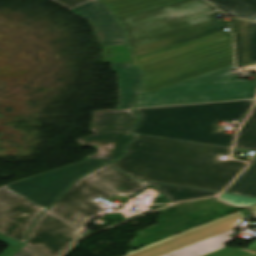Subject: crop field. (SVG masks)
Wrapping results in <instances>:
<instances>
[{
    "label": "crop field",
    "mask_w": 256,
    "mask_h": 256,
    "mask_svg": "<svg viewBox=\"0 0 256 256\" xmlns=\"http://www.w3.org/2000/svg\"><path fill=\"white\" fill-rule=\"evenodd\" d=\"M230 149L135 135L127 154L111 165L139 180L222 191L246 165L216 160Z\"/></svg>",
    "instance_id": "crop-field-1"
},
{
    "label": "crop field",
    "mask_w": 256,
    "mask_h": 256,
    "mask_svg": "<svg viewBox=\"0 0 256 256\" xmlns=\"http://www.w3.org/2000/svg\"><path fill=\"white\" fill-rule=\"evenodd\" d=\"M204 0H185L118 18L132 50L133 66L231 37L213 16L221 11ZM170 17H175L171 19Z\"/></svg>",
    "instance_id": "crop-field-2"
},
{
    "label": "crop field",
    "mask_w": 256,
    "mask_h": 256,
    "mask_svg": "<svg viewBox=\"0 0 256 256\" xmlns=\"http://www.w3.org/2000/svg\"><path fill=\"white\" fill-rule=\"evenodd\" d=\"M252 100L138 109L134 134L232 146L234 136L215 133L218 120H244Z\"/></svg>",
    "instance_id": "crop-field-3"
},
{
    "label": "crop field",
    "mask_w": 256,
    "mask_h": 256,
    "mask_svg": "<svg viewBox=\"0 0 256 256\" xmlns=\"http://www.w3.org/2000/svg\"><path fill=\"white\" fill-rule=\"evenodd\" d=\"M105 164L93 158L0 187V233L22 243L36 216L81 175Z\"/></svg>",
    "instance_id": "crop-field-4"
},
{
    "label": "crop field",
    "mask_w": 256,
    "mask_h": 256,
    "mask_svg": "<svg viewBox=\"0 0 256 256\" xmlns=\"http://www.w3.org/2000/svg\"><path fill=\"white\" fill-rule=\"evenodd\" d=\"M146 187L106 165L86 175L47 211L72 224L83 227L103 207L90 201L94 196L108 199L118 193L128 197Z\"/></svg>",
    "instance_id": "crop-field-5"
},
{
    "label": "crop field",
    "mask_w": 256,
    "mask_h": 256,
    "mask_svg": "<svg viewBox=\"0 0 256 256\" xmlns=\"http://www.w3.org/2000/svg\"><path fill=\"white\" fill-rule=\"evenodd\" d=\"M234 66L138 98L136 107L254 98L256 80H238Z\"/></svg>",
    "instance_id": "crop-field-6"
},
{
    "label": "crop field",
    "mask_w": 256,
    "mask_h": 256,
    "mask_svg": "<svg viewBox=\"0 0 256 256\" xmlns=\"http://www.w3.org/2000/svg\"><path fill=\"white\" fill-rule=\"evenodd\" d=\"M233 63L232 39L227 38L141 67L143 92L220 69Z\"/></svg>",
    "instance_id": "crop-field-7"
},
{
    "label": "crop field",
    "mask_w": 256,
    "mask_h": 256,
    "mask_svg": "<svg viewBox=\"0 0 256 256\" xmlns=\"http://www.w3.org/2000/svg\"><path fill=\"white\" fill-rule=\"evenodd\" d=\"M77 231L45 212L35 222L26 244L46 256H60L72 246L65 241L77 237Z\"/></svg>",
    "instance_id": "crop-field-8"
},
{
    "label": "crop field",
    "mask_w": 256,
    "mask_h": 256,
    "mask_svg": "<svg viewBox=\"0 0 256 256\" xmlns=\"http://www.w3.org/2000/svg\"><path fill=\"white\" fill-rule=\"evenodd\" d=\"M71 11L89 21L101 46L126 44L118 23L98 0Z\"/></svg>",
    "instance_id": "crop-field-9"
},
{
    "label": "crop field",
    "mask_w": 256,
    "mask_h": 256,
    "mask_svg": "<svg viewBox=\"0 0 256 256\" xmlns=\"http://www.w3.org/2000/svg\"><path fill=\"white\" fill-rule=\"evenodd\" d=\"M132 140L131 134L122 132L101 133L77 139L81 146L96 145L98 153L88 156L89 159L97 157L108 163L124 153V146Z\"/></svg>",
    "instance_id": "crop-field-10"
},
{
    "label": "crop field",
    "mask_w": 256,
    "mask_h": 256,
    "mask_svg": "<svg viewBox=\"0 0 256 256\" xmlns=\"http://www.w3.org/2000/svg\"><path fill=\"white\" fill-rule=\"evenodd\" d=\"M119 75L120 102L118 110L129 109L140 95L143 75L140 70L130 66V62L111 64Z\"/></svg>",
    "instance_id": "crop-field-11"
},
{
    "label": "crop field",
    "mask_w": 256,
    "mask_h": 256,
    "mask_svg": "<svg viewBox=\"0 0 256 256\" xmlns=\"http://www.w3.org/2000/svg\"><path fill=\"white\" fill-rule=\"evenodd\" d=\"M138 120L133 110L95 112L91 131L96 133L122 131L131 133Z\"/></svg>",
    "instance_id": "crop-field-12"
},
{
    "label": "crop field",
    "mask_w": 256,
    "mask_h": 256,
    "mask_svg": "<svg viewBox=\"0 0 256 256\" xmlns=\"http://www.w3.org/2000/svg\"><path fill=\"white\" fill-rule=\"evenodd\" d=\"M236 64H251L248 21L233 19Z\"/></svg>",
    "instance_id": "crop-field-13"
},
{
    "label": "crop field",
    "mask_w": 256,
    "mask_h": 256,
    "mask_svg": "<svg viewBox=\"0 0 256 256\" xmlns=\"http://www.w3.org/2000/svg\"><path fill=\"white\" fill-rule=\"evenodd\" d=\"M140 182V181H139ZM145 185H157V188L162 191L166 197L174 202H181L189 199L202 198L206 196L216 195L217 191H209L195 188H187L173 185H165V184H156V183H147L141 182Z\"/></svg>",
    "instance_id": "crop-field-14"
},
{
    "label": "crop field",
    "mask_w": 256,
    "mask_h": 256,
    "mask_svg": "<svg viewBox=\"0 0 256 256\" xmlns=\"http://www.w3.org/2000/svg\"><path fill=\"white\" fill-rule=\"evenodd\" d=\"M103 1L114 13L115 16H120L177 0H101Z\"/></svg>",
    "instance_id": "crop-field-15"
},
{
    "label": "crop field",
    "mask_w": 256,
    "mask_h": 256,
    "mask_svg": "<svg viewBox=\"0 0 256 256\" xmlns=\"http://www.w3.org/2000/svg\"><path fill=\"white\" fill-rule=\"evenodd\" d=\"M233 17L255 19L256 0H208Z\"/></svg>",
    "instance_id": "crop-field-16"
},
{
    "label": "crop field",
    "mask_w": 256,
    "mask_h": 256,
    "mask_svg": "<svg viewBox=\"0 0 256 256\" xmlns=\"http://www.w3.org/2000/svg\"><path fill=\"white\" fill-rule=\"evenodd\" d=\"M225 192L256 198V156Z\"/></svg>",
    "instance_id": "crop-field-17"
},
{
    "label": "crop field",
    "mask_w": 256,
    "mask_h": 256,
    "mask_svg": "<svg viewBox=\"0 0 256 256\" xmlns=\"http://www.w3.org/2000/svg\"><path fill=\"white\" fill-rule=\"evenodd\" d=\"M235 148L256 151V105L238 134Z\"/></svg>",
    "instance_id": "crop-field-18"
},
{
    "label": "crop field",
    "mask_w": 256,
    "mask_h": 256,
    "mask_svg": "<svg viewBox=\"0 0 256 256\" xmlns=\"http://www.w3.org/2000/svg\"><path fill=\"white\" fill-rule=\"evenodd\" d=\"M219 199H221L222 201H224L226 203L233 204L236 206L249 207L251 205L256 204V199H254V198L226 194V193H223L221 196H219Z\"/></svg>",
    "instance_id": "crop-field-19"
},
{
    "label": "crop field",
    "mask_w": 256,
    "mask_h": 256,
    "mask_svg": "<svg viewBox=\"0 0 256 256\" xmlns=\"http://www.w3.org/2000/svg\"><path fill=\"white\" fill-rule=\"evenodd\" d=\"M0 242L10 246L3 253H1L0 256H12L16 251H18L24 245L2 234H0Z\"/></svg>",
    "instance_id": "crop-field-20"
},
{
    "label": "crop field",
    "mask_w": 256,
    "mask_h": 256,
    "mask_svg": "<svg viewBox=\"0 0 256 256\" xmlns=\"http://www.w3.org/2000/svg\"><path fill=\"white\" fill-rule=\"evenodd\" d=\"M249 25H250L252 64H256V22L249 21Z\"/></svg>",
    "instance_id": "crop-field-21"
},
{
    "label": "crop field",
    "mask_w": 256,
    "mask_h": 256,
    "mask_svg": "<svg viewBox=\"0 0 256 256\" xmlns=\"http://www.w3.org/2000/svg\"><path fill=\"white\" fill-rule=\"evenodd\" d=\"M62 6H64L65 8L71 10L77 6H80L86 2H89L91 0H52Z\"/></svg>",
    "instance_id": "crop-field-22"
},
{
    "label": "crop field",
    "mask_w": 256,
    "mask_h": 256,
    "mask_svg": "<svg viewBox=\"0 0 256 256\" xmlns=\"http://www.w3.org/2000/svg\"><path fill=\"white\" fill-rule=\"evenodd\" d=\"M14 256H44V255L25 245Z\"/></svg>",
    "instance_id": "crop-field-23"
},
{
    "label": "crop field",
    "mask_w": 256,
    "mask_h": 256,
    "mask_svg": "<svg viewBox=\"0 0 256 256\" xmlns=\"http://www.w3.org/2000/svg\"><path fill=\"white\" fill-rule=\"evenodd\" d=\"M256 70V65L247 66V69H245V72Z\"/></svg>",
    "instance_id": "crop-field-24"
},
{
    "label": "crop field",
    "mask_w": 256,
    "mask_h": 256,
    "mask_svg": "<svg viewBox=\"0 0 256 256\" xmlns=\"http://www.w3.org/2000/svg\"><path fill=\"white\" fill-rule=\"evenodd\" d=\"M78 239H80V238L77 237V238L72 239V240H69V241H67V242L73 245Z\"/></svg>",
    "instance_id": "crop-field-25"
}]
</instances>
